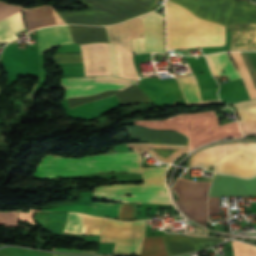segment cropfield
<instances>
[{
    "mask_svg": "<svg viewBox=\"0 0 256 256\" xmlns=\"http://www.w3.org/2000/svg\"><path fill=\"white\" fill-rule=\"evenodd\" d=\"M166 167H140L143 184H115L95 187V199L172 205L164 182ZM123 195H133L127 197Z\"/></svg>",
    "mask_w": 256,
    "mask_h": 256,
    "instance_id": "obj_4",
    "label": "crop field"
},
{
    "mask_svg": "<svg viewBox=\"0 0 256 256\" xmlns=\"http://www.w3.org/2000/svg\"><path fill=\"white\" fill-rule=\"evenodd\" d=\"M139 256H167L162 237H145Z\"/></svg>",
    "mask_w": 256,
    "mask_h": 256,
    "instance_id": "obj_17",
    "label": "crop field"
},
{
    "mask_svg": "<svg viewBox=\"0 0 256 256\" xmlns=\"http://www.w3.org/2000/svg\"><path fill=\"white\" fill-rule=\"evenodd\" d=\"M232 58L234 59L238 69H239V72H240V75L244 81V84H245V87L247 89V92H248V95H249V98L252 99V98H256V90L252 84V81L250 79V76L247 72V69L244 65V62L242 60V57L240 55L239 52H234V53H230Z\"/></svg>",
    "mask_w": 256,
    "mask_h": 256,
    "instance_id": "obj_18",
    "label": "crop field"
},
{
    "mask_svg": "<svg viewBox=\"0 0 256 256\" xmlns=\"http://www.w3.org/2000/svg\"><path fill=\"white\" fill-rule=\"evenodd\" d=\"M54 256H69V255H60V254H55Z\"/></svg>",
    "mask_w": 256,
    "mask_h": 256,
    "instance_id": "obj_23",
    "label": "crop field"
},
{
    "mask_svg": "<svg viewBox=\"0 0 256 256\" xmlns=\"http://www.w3.org/2000/svg\"><path fill=\"white\" fill-rule=\"evenodd\" d=\"M102 218L69 213L65 232L99 235Z\"/></svg>",
    "mask_w": 256,
    "mask_h": 256,
    "instance_id": "obj_12",
    "label": "crop field"
},
{
    "mask_svg": "<svg viewBox=\"0 0 256 256\" xmlns=\"http://www.w3.org/2000/svg\"><path fill=\"white\" fill-rule=\"evenodd\" d=\"M139 162L140 156L134 153L92 156L80 159L46 155L32 178L53 179L103 171L141 173L138 166Z\"/></svg>",
    "mask_w": 256,
    "mask_h": 256,
    "instance_id": "obj_2",
    "label": "crop field"
},
{
    "mask_svg": "<svg viewBox=\"0 0 256 256\" xmlns=\"http://www.w3.org/2000/svg\"><path fill=\"white\" fill-rule=\"evenodd\" d=\"M227 29L231 34L229 50H256V24L235 23Z\"/></svg>",
    "mask_w": 256,
    "mask_h": 256,
    "instance_id": "obj_10",
    "label": "crop field"
},
{
    "mask_svg": "<svg viewBox=\"0 0 256 256\" xmlns=\"http://www.w3.org/2000/svg\"><path fill=\"white\" fill-rule=\"evenodd\" d=\"M97 80H106V81H128L131 82L130 80L127 79H121L113 76H98L96 77Z\"/></svg>",
    "mask_w": 256,
    "mask_h": 256,
    "instance_id": "obj_22",
    "label": "crop field"
},
{
    "mask_svg": "<svg viewBox=\"0 0 256 256\" xmlns=\"http://www.w3.org/2000/svg\"><path fill=\"white\" fill-rule=\"evenodd\" d=\"M108 46H109L110 57H111L112 72H113V75L118 76L114 44H108Z\"/></svg>",
    "mask_w": 256,
    "mask_h": 256,
    "instance_id": "obj_20",
    "label": "crop field"
},
{
    "mask_svg": "<svg viewBox=\"0 0 256 256\" xmlns=\"http://www.w3.org/2000/svg\"><path fill=\"white\" fill-rule=\"evenodd\" d=\"M187 256H189V255H187Z\"/></svg>",
    "mask_w": 256,
    "mask_h": 256,
    "instance_id": "obj_24",
    "label": "crop field"
},
{
    "mask_svg": "<svg viewBox=\"0 0 256 256\" xmlns=\"http://www.w3.org/2000/svg\"><path fill=\"white\" fill-rule=\"evenodd\" d=\"M53 250L70 252V253H95V250L58 249V248H54Z\"/></svg>",
    "mask_w": 256,
    "mask_h": 256,
    "instance_id": "obj_21",
    "label": "crop field"
},
{
    "mask_svg": "<svg viewBox=\"0 0 256 256\" xmlns=\"http://www.w3.org/2000/svg\"><path fill=\"white\" fill-rule=\"evenodd\" d=\"M188 106L221 103L220 100L201 101L195 75L175 76ZM222 104V103H221Z\"/></svg>",
    "mask_w": 256,
    "mask_h": 256,
    "instance_id": "obj_14",
    "label": "crop field"
},
{
    "mask_svg": "<svg viewBox=\"0 0 256 256\" xmlns=\"http://www.w3.org/2000/svg\"><path fill=\"white\" fill-rule=\"evenodd\" d=\"M135 82L133 80L132 83L96 81L95 77L61 79V84L66 90L65 98L92 96L109 90L122 91Z\"/></svg>",
    "mask_w": 256,
    "mask_h": 256,
    "instance_id": "obj_6",
    "label": "crop field"
},
{
    "mask_svg": "<svg viewBox=\"0 0 256 256\" xmlns=\"http://www.w3.org/2000/svg\"><path fill=\"white\" fill-rule=\"evenodd\" d=\"M21 9L0 1V36L17 34L25 30ZM14 38L15 35L0 37V42H10Z\"/></svg>",
    "mask_w": 256,
    "mask_h": 256,
    "instance_id": "obj_9",
    "label": "crop field"
},
{
    "mask_svg": "<svg viewBox=\"0 0 256 256\" xmlns=\"http://www.w3.org/2000/svg\"><path fill=\"white\" fill-rule=\"evenodd\" d=\"M168 48L213 47L225 44V27L195 17L187 9L166 3Z\"/></svg>",
    "mask_w": 256,
    "mask_h": 256,
    "instance_id": "obj_1",
    "label": "crop field"
},
{
    "mask_svg": "<svg viewBox=\"0 0 256 256\" xmlns=\"http://www.w3.org/2000/svg\"><path fill=\"white\" fill-rule=\"evenodd\" d=\"M62 43H74L67 26L48 27L38 30L40 54Z\"/></svg>",
    "mask_w": 256,
    "mask_h": 256,
    "instance_id": "obj_11",
    "label": "crop field"
},
{
    "mask_svg": "<svg viewBox=\"0 0 256 256\" xmlns=\"http://www.w3.org/2000/svg\"><path fill=\"white\" fill-rule=\"evenodd\" d=\"M135 206L130 203H122L120 209L119 220H131L134 219Z\"/></svg>",
    "mask_w": 256,
    "mask_h": 256,
    "instance_id": "obj_19",
    "label": "crop field"
},
{
    "mask_svg": "<svg viewBox=\"0 0 256 256\" xmlns=\"http://www.w3.org/2000/svg\"><path fill=\"white\" fill-rule=\"evenodd\" d=\"M206 58L212 68L213 75L228 76L229 81L240 78L227 53L207 55Z\"/></svg>",
    "mask_w": 256,
    "mask_h": 256,
    "instance_id": "obj_16",
    "label": "crop field"
},
{
    "mask_svg": "<svg viewBox=\"0 0 256 256\" xmlns=\"http://www.w3.org/2000/svg\"><path fill=\"white\" fill-rule=\"evenodd\" d=\"M256 194V177L242 179L234 176H213L209 196H241Z\"/></svg>",
    "mask_w": 256,
    "mask_h": 256,
    "instance_id": "obj_8",
    "label": "crop field"
},
{
    "mask_svg": "<svg viewBox=\"0 0 256 256\" xmlns=\"http://www.w3.org/2000/svg\"><path fill=\"white\" fill-rule=\"evenodd\" d=\"M233 106L239 113V121L256 118V100L236 103ZM240 128L244 135H256V119L240 122Z\"/></svg>",
    "mask_w": 256,
    "mask_h": 256,
    "instance_id": "obj_15",
    "label": "crop field"
},
{
    "mask_svg": "<svg viewBox=\"0 0 256 256\" xmlns=\"http://www.w3.org/2000/svg\"><path fill=\"white\" fill-rule=\"evenodd\" d=\"M145 234V221L120 222L103 218L100 241L116 242L113 253L138 255Z\"/></svg>",
    "mask_w": 256,
    "mask_h": 256,
    "instance_id": "obj_5",
    "label": "crop field"
},
{
    "mask_svg": "<svg viewBox=\"0 0 256 256\" xmlns=\"http://www.w3.org/2000/svg\"><path fill=\"white\" fill-rule=\"evenodd\" d=\"M120 204L112 203H92L91 206L87 205H71L65 207H56L50 209H44L47 211H78L82 213H88L96 216H106L118 219Z\"/></svg>",
    "mask_w": 256,
    "mask_h": 256,
    "instance_id": "obj_13",
    "label": "crop field"
},
{
    "mask_svg": "<svg viewBox=\"0 0 256 256\" xmlns=\"http://www.w3.org/2000/svg\"><path fill=\"white\" fill-rule=\"evenodd\" d=\"M213 164L214 172L252 177L256 175V143L234 142L210 146L195 153L189 161V167L208 169Z\"/></svg>",
    "mask_w": 256,
    "mask_h": 256,
    "instance_id": "obj_3",
    "label": "crop field"
},
{
    "mask_svg": "<svg viewBox=\"0 0 256 256\" xmlns=\"http://www.w3.org/2000/svg\"><path fill=\"white\" fill-rule=\"evenodd\" d=\"M160 15L153 12L141 17L144 38L131 39L133 53L164 52L163 15Z\"/></svg>",
    "mask_w": 256,
    "mask_h": 256,
    "instance_id": "obj_7",
    "label": "crop field"
}]
</instances>
